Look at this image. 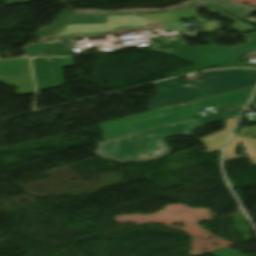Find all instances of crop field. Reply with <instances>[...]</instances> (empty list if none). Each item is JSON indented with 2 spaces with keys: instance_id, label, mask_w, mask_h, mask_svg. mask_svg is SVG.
Segmentation results:
<instances>
[{
  "instance_id": "8a807250",
  "label": "crop field",
  "mask_w": 256,
  "mask_h": 256,
  "mask_svg": "<svg viewBox=\"0 0 256 256\" xmlns=\"http://www.w3.org/2000/svg\"><path fill=\"white\" fill-rule=\"evenodd\" d=\"M256 83V69H232L204 72L201 85L179 78L155 83L157 96L149 110L159 109Z\"/></svg>"
},
{
  "instance_id": "ac0d7876",
  "label": "crop field",
  "mask_w": 256,
  "mask_h": 256,
  "mask_svg": "<svg viewBox=\"0 0 256 256\" xmlns=\"http://www.w3.org/2000/svg\"><path fill=\"white\" fill-rule=\"evenodd\" d=\"M243 108L244 107L138 132L136 136L140 142V146L130 158V161L144 162L168 156L171 149L168 148L164 141L166 138L173 135H190L196 127L204 123L223 119H238Z\"/></svg>"
},
{
  "instance_id": "34b2d1b8",
  "label": "crop field",
  "mask_w": 256,
  "mask_h": 256,
  "mask_svg": "<svg viewBox=\"0 0 256 256\" xmlns=\"http://www.w3.org/2000/svg\"><path fill=\"white\" fill-rule=\"evenodd\" d=\"M139 145L134 134L123 137L102 141L98 143V149L93 153L98 156L114 160L116 162L126 163Z\"/></svg>"
},
{
  "instance_id": "412701ff",
  "label": "crop field",
  "mask_w": 256,
  "mask_h": 256,
  "mask_svg": "<svg viewBox=\"0 0 256 256\" xmlns=\"http://www.w3.org/2000/svg\"><path fill=\"white\" fill-rule=\"evenodd\" d=\"M238 143L245 145L252 164L256 165V139L250 137L232 136L224 152V161L238 158L234 151V146Z\"/></svg>"
},
{
  "instance_id": "f4fd0767",
  "label": "crop field",
  "mask_w": 256,
  "mask_h": 256,
  "mask_svg": "<svg viewBox=\"0 0 256 256\" xmlns=\"http://www.w3.org/2000/svg\"><path fill=\"white\" fill-rule=\"evenodd\" d=\"M225 129L221 132L213 133L206 137L199 139L205 143V146L208 150H218L222 149L224 142L226 141L233 125L226 124Z\"/></svg>"
},
{
  "instance_id": "dd49c442",
  "label": "crop field",
  "mask_w": 256,
  "mask_h": 256,
  "mask_svg": "<svg viewBox=\"0 0 256 256\" xmlns=\"http://www.w3.org/2000/svg\"><path fill=\"white\" fill-rule=\"evenodd\" d=\"M0 82H3L9 86L14 85L18 87V89L15 91L19 95L29 94L34 92L31 76L0 79Z\"/></svg>"
},
{
  "instance_id": "e52e79f7",
  "label": "crop field",
  "mask_w": 256,
  "mask_h": 256,
  "mask_svg": "<svg viewBox=\"0 0 256 256\" xmlns=\"http://www.w3.org/2000/svg\"><path fill=\"white\" fill-rule=\"evenodd\" d=\"M254 107L256 108V104H254ZM237 135L256 137V126L240 127Z\"/></svg>"
},
{
  "instance_id": "d8731c3e",
  "label": "crop field",
  "mask_w": 256,
  "mask_h": 256,
  "mask_svg": "<svg viewBox=\"0 0 256 256\" xmlns=\"http://www.w3.org/2000/svg\"><path fill=\"white\" fill-rule=\"evenodd\" d=\"M210 253H212L214 256H243L242 254L235 252L229 248L212 251Z\"/></svg>"
},
{
  "instance_id": "5a996713",
  "label": "crop field",
  "mask_w": 256,
  "mask_h": 256,
  "mask_svg": "<svg viewBox=\"0 0 256 256\" xmlns=\"http://www.w3.org/2000/svg\"><path fill=\"white\" fill-rule=\"evenodd\" d=\"M233 66H238L236 62L233 63H228V64H224V65H220L218 67H233Z\"/></svg>"
},
{
  "instance_id": "3316defc",
  "label": "crop field",
  "mask_w": 256,
  "mask_h": 256,
  "mask_svg": "<svg viewBox=\"0 0 256 256\" xmlns=\"http://www.w3.org/2000/svg\"><path fill=\"white\" fill-rule=\"evenodd\" d=\"M236 120H226V123L235 124Z\"/></svg>"
},
{
  "instance_id": "28ad6ade",
  "label": "crop field",
  "mask_w": 256,
  "mask_h": 256,
  "mask_svg": "<svg viewBox=\"0 0 256 256\" xmlns=\"http://www.w3.org/2000/svg\"><path fill=\"white\" fill-rule=\"evenodd\" d=\"M249 67H256V65H253V66H249Z\"/></svg>"
}]
</instances>
